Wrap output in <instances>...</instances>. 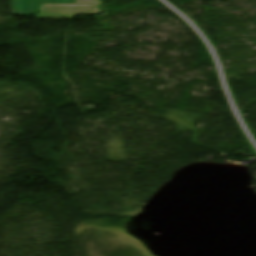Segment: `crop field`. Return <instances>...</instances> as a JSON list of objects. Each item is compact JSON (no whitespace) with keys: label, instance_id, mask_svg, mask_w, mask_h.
<instances>
[{"label":"crop field","instance_id":"34b2d1b8","mask_svg":"<svg viewBox=\"0 0 256 256\" xmlns=\"http://www.w3.org/2000/svg\"><path fill=\"white\" fill-rule=\"evenodd\" d=\"M41 3H74V0H40Z\"/></svg>","mask_w":256,"mask_h":256},{"label":"crop field","instance_id":"ac0d7876","mask_svg":"<svg viewBox=\"0 0 256 256\" xmlns=\"http://www.w3.org/2000/svg\"><path fill=\"white\" fill-rule=\"evenodd\" d=\"M12 11L14 15H31L37 12V0H12Z\"/></svg>","mask_w":256,"mask_h":256},{"label":"crop field","instance_id":"8a807250","mask_svg":"<svg viewBox=\"0 0 256 256\" xmlns=\"http://www.w3.org/2000/svg\"><path fill=\"white\" fill-rule=\"evenodd\" d=\"M101 0H76V4H40L35 18H71L75 14L100 13Z\"/></svg>","mask_w":256,"mask_h":256}]
</instances>
